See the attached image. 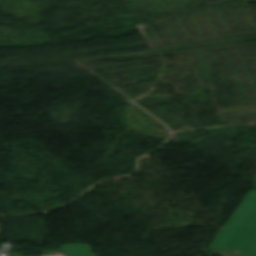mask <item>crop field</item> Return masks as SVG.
<instances>
[{"mask_svg": "<svg viewBox=\"0 0 256 256\" xmlns=\"http://www.w3.org/2000/svg\"><path fill=\"white\" fill-rule=\"evenodd\" d=\"M9 256H21V255L10 253Z\"/></svg>", "mask_w": 256, "mask_h": 256, "instance_id": "crop-field-3", "label": "crop field"}, {"mask_svg": "<svg viewBox=\"0 0 256 256\" xmlns=\"http://www.w3.org/2000/svg\"><path fill=\"white\" fill-rule=\"evenodd\" d=\"M211 247L256 256V191H250Z\"/></svg>", "mask_w": 256, "mask_h": 256, "instance_id": "crop-field-1", "label": "crop field"}, {"mask_svg": "<svg viewBox=\"0 0 256 256\" xmlns=\"http://www.w3.org/2000/svg\"><path fill=\"white\" fill-rule=\"evenodd\" d=\"M61 251L66 256H94L89 245H64Z\"/></svg>", "mask_w": 256, "mask_h": 256, "instance_id": "crop-field-2", "label": "crop field"}]
</instances>
